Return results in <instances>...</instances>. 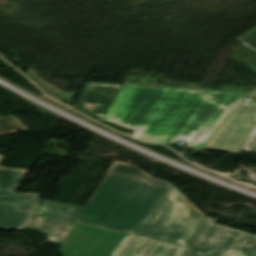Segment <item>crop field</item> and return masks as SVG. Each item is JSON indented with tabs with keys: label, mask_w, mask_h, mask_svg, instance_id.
<instances>
[{
	"label": "crop field",
	"mask_w": 256,
	"mask_h": 256,
	"mask_svg": "<svg viewBox=\"0 0 256 256\" xmlns=\"http://www.w3.org/2000/svg\"><path fill=\"white\" fill-rule=\"evenodd\" d=\"M247 93L124 85L103 120L146 142L184 140L200 151Z\"/></svg>",
	"instance_id": "1"
},
{
	"label": "crop field",
	"mask_w": 256,
	"mask_h": 256,
	"mask_svg": "<svg viewBox=\"0 0 256 256\" xmlns=\"http://www.w3.org/2000/svg\"><path fill=\"white\" fill-rule=\"evenodd\" d=\"M171 186L114 162L76 223L133 233Z\"/></svg>",
	"instance_id": "2"
},
{
	"label": "crop field",
	"mask_w": 256,
	"mask_h": 256,
	"mask_svg": "<svg viewBox=\"0 0 256 256\" xmlns=\"http://www.w3.org/2000/svg\"><path fill=\"white\" fill-rule=\"evenodd\" d=\"M203 216L173 185L134 234L187 247Z\"/></svg>",
	"instance_id": "3"
},
{
	"label": "crop field",
	"mask_w": 256,
	"mask_h": 256,
	"mask_svg": "<svg viewBox=\"0 0 256 256\" xmlns=\"http://www.w3.org/2000/svg\"><path fill=\"white\" fill-rule=\"evenodd\" d=\"M247 98L250 100L240 105L205 149L240 154L256 126V91H251Z\"/></svg>",
	"instance_id": "4"
},
{
	"label": "crop field",
	"mask_w": 256,
	"mask_h": 256,
	"mask_svg": "<svg viewBox=\"0 0 256 256\" xmlns=\"http://www.w3.org/2000/svg\"><path fill=\"white\" fill-rule=\"evenodd\" d=\"M206 217L189 249H231L256 252V236L213 223Z\"/></svg>",
	"instance_id": "5"
},
{
	"label": "crop field",
	"mask_w": 256,
	"mask_h": 256,
	"mask_svg": "<svg viewBox=\"0 0 256 256\" xmlns=\"http://www.w3.org/2000/svg\"><path fill=\"white\" fill-rule=\"evenodd\" d=\"M122 86L123 85L89 83L76 107L87 114L102 120L120 92ZM89 105H99V107L97 110L91 112L85 109Z\"/></svg>",
	"instance_id": "6"
},
{
	"label": "crop field",
	"mask_w": 256,
	"mask_h": 256,
	"mask_svg": "<svg viewBox=\"0 0 256 256\" xmlns=\"http://www.w3.org/2000/svg\"><path fill=\"white\" fill-rule=\"evenodd\" d=\"M2 156H0V161ZM0 167V202L35 203L39 194L15 193L25 172Z\"/></svg>",
	"instance_id": "7"
},
{
	"label": "crop field",
	"mask_w": 256,
	"mask_h": 256,
	"mask_svg": "<svg viewBox=\"0 0 256 256\" xmlns=\"http://www.w3.org/2000/svg\"><path fill=\"white\" fill-rule=\"evenodd\" d=\"M72 223L33 214L24 229L50 235L48 242L63 244Z\"/></svg>",
	"instance_id": "8"
},
{
	"label": "crop field",
	"mask_w": 256,
	"mask_h": 256,
	"mask_svg": "<svg viewBox=\"0 0 256 256\" xmlns=\"http://www.w3.org/2000/svg\"><path fill=\"white\" fill-rule=\"evenodd\" d=\"M35 205L0 203V229H13L25 223Z\"/></svg>",
	"instance_id": "9"
},
{
	"label": "crop field",
	"mask_w": 256,
	"mask_h": 256,
	"mask_svg": "<svg viewBox=\"0 0 256 256\" xmlns=\"http://www.w3.org/2000/svg\"><path fill=\"white\" fill-rule=\"evenodd\" d=\"M83 209L82 206L43 200L36 213L75 223Z\"/></svg>",
	"instance_id": "10"
},
{
	"label": "crop field",
	"mask_w": 256,
	"mask_h": 256,
	"mask_svg": "<svg viewBox=\"0 0 256 256\" xmlns=\"http://www.w3.org/2000/svg\"><path fill=\"white\" fill-rule=\"evenodd\" d=\"M156 240L132 235L114 256H144Z\"/></svg>",
	"instance_id": "11"
},
{
	"label": "crop field",
	"mask_w": 256,
	"mask_h": 256,
	"mask_svg": "<svg viewBox=\"0 0 256 256\" xmlns=\"http://www.w3.org/2000/svg\"><path fill=\"white\" fill-rule=\"evenodd\" d=\"M236 60L256 71V52L244 44H240L232 54Z\"/></svg>",
	"instance_id": "12"
},
{
	"label": "crop field",
	"mask_w": 256,
	"mask_h": 256,
	"mask_svg": "<svg viewBox=\"0 0 256 256\" xmlns=\"http://www.w3.org/2000/svg\"><path fill=\"white\" fill-rule=\"evenodd\" d=\"M184 248L157 241L145 256H182Z\"/></svg>",
	"instance_id": "13"
},
{
	"label": "crop field",
	"mask_w": 256,
	"mask_h": 256,
	"mask_svg": "<svg viewBox=\"0 0 256 256\" xmlns=\"http://www.w3.org/2000/svg\"><path fill=\"white\" fill-rule=\"evenodd\" d=\"M28 130L14 115L0 117V134Z\"/></svg>",
	"instance_id": "14"
},
{
	"label": "crop field",
	"mask_w": 256,
	"mask_h": 256,
	"mask_svg": "<svg viewBox=\"0 0 256 256\" xmlns=\"http://www.w3.org/2000/svg\"><path fill=\"white\" fill-rule=\"evenodd\" d=\"M192 256H248L244 251L230 250H191Z\"/></svg>",
	"instance_id": "15"
},
{
	"label": "crop field",
	"mask_w": 256,
	"mask_h": 256,
	"mask_svg": "<svg viewBox=\"0 0 256 256\" xmlns=\"http://www.w3.org/2000/svg\"><path fill=\"white\" fill-rule=\"evenodd\" d=\"M237 39L256 51V28Z\"/></svg>",
	"instance_id": "16"
},
{
	"label": "crop field",
	"mask_w": 256,
	"mask_h": 256,
	"mask_svg": "<svg viewBox=\"0 0 256 256\" xmlns=\"http://www.w3.org/2000/svg\"><path fill=\"white\" fill-rule=\"evenodd\" d=\"M243 150L256 152V127L254 128Z\"/></svg>",
	"instance_id": "17"
},
{
	"label": "crop field",
	"mask_w": 256,
	"mask_h": 256,
	"mask_svg": "<svg viewBox=\"0 0 256 256\" xmlns=\"http://www.w3.org/2000/svg\"><path fill=\"white\" fill-rule=\"evenodd\" d=\"M222 89L247 90L248 88H234V87L226 86V87H224Z\"/></svg>",
	"instance_id": "18"
},
{
	"label": "crop field",
	"mask_w": 256,
	"mask_h": 256,
	"mask_svg": "<svg viewBox=\"0 0 256 256\" xmlns=\"http://www.w3.org/2000/svg\"><path fill=\"white\" fill-rule=\"evenodd\" d=\"M185 256H191V252H190V250H187V252H186Z\"/></svg>",
	"instance_id": "19"
},
{
	"label": "crop field",
	"mask_w": 256,
	"mask_h": 256,
	"mask_svg": "<svg viewBox=\"0 0 256 256\" xmlns=\"http://www.w3.org/2000/svg\"><path fill=\"white\" fill-rule=\"evenodd\" d=\"M249 256H256V253L248 252Z\"/></svg>",
	"instance_id": "20"
}]
</instances>
